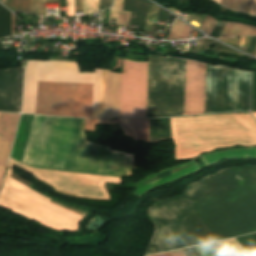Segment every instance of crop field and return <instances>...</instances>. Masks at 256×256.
I'll return each mask as SVG.
<instances>
[{
  "label": "crop field",
  "mask_w": 256,
  "mask_h": 256,
  "mask_svg": "<svg viewBox=\"0 0 256 256\" xmlns=\"http://www.w3.org/2000/svg\"><path fill=\"white\" fill-rule=\"evenodd\" d=\"M84 119L35 115L23 162L41 168L123 177L132 175L134 154L89 143Z\"/></svg>",
  "instance_id": "8a807250"
},
{
  "label": "crop field",
  "mask_w": 256,
  "mask_h": 256,
  "mask_svg": "<svg viewBox=\"0 0 256 256\" xmlns=\"http://www.w3.org/2000/svg\"><path fill=\"white\" fill-rule=\"evenodd\" d=\"M9 162V168L0 197V205L55 230L76 231L82 216L88 212L50 199V202L82 215L80 216L48 202L49 198L34 192L30 188L10 177L12 164L36 174L39 178L56 184L54 186L52 183L39 179L51 186L53 190H59L73 195L109 198L104 182L120 183V179L114 177L35 169L12 159H10ZM36 176L34 175V177ZM62 192L59 193L65 194ZM80 196L73 197L86 198Z\"/></svg>",
  "instance_id": "ac0d7876"
},
{
  "label": "crop field",
  "mask_w": 256,
  "mask_h": 256,
  "mask_svg": "<svg viewBox=\"0 0 256 256\" xmlns=\"http://www.w3.org/2000/svg\"><path fill=\"white\" fill-rule=\"evenodd\" d=\"M176 160L227 146L256 145V122L250 114L171 118Z\"/></svg>",
  "instance_id": "34b2d1b8"
},
{
  "label": "crop field",
  "mask_w": 256,
  "mask_h": 256,
  "mask_svg": "<svg viewBox=\"0 0 256 256\" xmlns=\"http://www.w3.org/2000/svg\"><path fill=\"white\" fill-rule=\"evenodd\" d=\"M37 81L94 83L93 117L119 116L121 73L102 69L79 73L76 62L36 61L31 113Z\"/></svg>",
  "instance_id": "412701ff"
},
{
  "label": "crop field",
  "mask_w": 256,
  "mask_h": 256,
  "mask_svg": "<svg viewBox=\"0 0 256 256\" xmlns=\"http://www.w3.org/2000/svg\"><path fill=\"white\" fill-rule=\"evenodd\" d=\"M186 60L148 56L146 117L183 115Z\"/></svg>",
  "instance_id": "f4fd0767"
},
{
  "label": "crop field",
  "mask_w": 256,
  "mask_h": 256,
  "mask_svg": "<svg viewBox=\"0 0 256 256\" xmlns=\"http://www.w3.org/2000/svg\"><path fill=\"white\" fill-rule=\"evenodd\" d=\"M93 84L38 82L35 113L92 117Z\"/></svg>",
  "instance_id": "dd49c442"
},
{
  "label": "crop field",
  "mask_w": 256,
  "mask_h": 256,
  "mask_svg": "<svg viewBox=\"0 0 256 256\" xmlns=\"http://www.w3.org/2000/svg\"><path fill=\"white\" fill-rule=\"evenodd\" d=\"M146 76L147 63L124 59L120 116L145 117Z\"/></svg>",
  "instance_id": "e52e79f7"
},
{
  "label": "crop field",
  "mask_w": 256,
  "mask_h": 256,
  "mask_svg": "<svg viewBox=\"0 0 256 256\" xmlns=\"http://www.w3.org/2000/svg\"><path fill=\"white\" fill-rule=\"evenodd\" d=\"M205 65L187 60L184 115L203 114Z\"/></svg>",
  "instance_id": "d8731c3e"
},
{
  "label": "crop field",
  "mask_w": 256,
  "mask_h": 256,
  "mask_svg": "<svg viewBox=\"0 0 256 256\" xmlns=\"http://www.w3.org/2000/svg\"><path fill=\"white\" fill-rule=\"evenodd\" d=\"M23 68L0 70V111L20 112Z\"/></svg>",
  "instance_id": "5a996713"
},
{
  "label": "crop field",
  "mask_w": 256,
  "mask_h": 256,
  "mask_svg": "<svg viewBox=\"0 0 256 256\" xmlns=\"http://www.w3.org/2000/svg\"><path fill=\"white\" fill-rule=\"evenodd\" d=\"M19 114L0 113V186L19 120Z\"/></svg>",
  "instance_id": "3316defc"
},
{
  "label": "crop field",
  "mask_w": 256,
  "mask_h": 256,
  "mask_svg": "<svg viewBox=\"0 0 256 256\" xmlns=\"http://www.w3.org/2000/svg\"><path fill=\"white\" fill-rule=\"evenodd\" d=\"M193 163H195V164H193ZM188 164H193V165L188 166V167H186V168H183V169H181V170H179V171H176V172H174V173H172V174H169V175H167V176H165V177H162V178H160V179H158V180H156V181H153V182H151V183H149V184H146V185L140 187L141 184H142L144 181H146L147 179H149V178H151V177H153V176H156V175L161 174V173H163V172H166V171H168V170H171V169H174V168H177V167H181V166H184V165H188ZM198 169H199V164H198L197 162H195V161H192V162H188V163H185V164L176 165V166H172V167L166 168V169H164V170H162V171H160V172H158V173H155V174H153V175H150V176L144 178L143 180H141V181L139 182V184L137 185V187H136V191H135L133 194H135V195H137V196L140 197L142 194H144L145 192H147V191H149V190H151V189H153V188H156V187H158V186H160V185H163V184H165V183H167V182H170V181H172V180H174V179H177V178H179V177H181V176H184V175H186V174H188V173L197 171Z\"/></svg>",
  "instance_id": "28ad6ade"
},
{
  "label": "crop field",
  "mask_w": 256,
  "mask_h": 256,
  "mask_svg": "<svg viewBox=\"0 0 256 256\" xmlns=\"http://www.w3.org/2000/svg\"><path fill=\"white\" fill-rule=\"evenodd\" d=\"M125 135L132 136L133 140L150 142L149 119L144 118H117Z\"/></svg>",
  "instance_id": "d1516ede"
},
{
  "label": "crop field",
  "mask_w": 256,
  "mask_h": 256,
  "mask_svg": "<svg viewBox=\"0 0 256 256\" xmlns=\"http://www.w3.org/2000/svg\"><path fill=\"white\" fill-rule=\"evenodd\" d=\"M34 115H22L11 157L22 160Z\"/></svg>",
  "instance_id": "22f410ed"
},
{
  "label": "crop field",
  "mask_w": 256,
  "mask_h": 256,
  "mask_svg": "<svg viewBox=\"0 0 256 256\" xmlns=\"http://www.w3.org/2000/svg\"><path fill=\"white\" fill-rule=\"evenodd\" d=\"M12 11L45 15V0H5Z\"/></svg>",
  "instance_id": "cbeb9de0"
},
{
  "label": "crop field",
  "mask_w": 256,
  "mask_h": 256,
  "mask_svg": "<svg viewBox=\"0 0 256 256\" xmlns=\"http://www.w3.org/2000/svg\"><path fill=\"white\" fill-rule=\"evenodd\" d=\"M204 165H211L220 162L224 158H256L255 149L229 150L220 153L200 156Z\"/></svg>",
  "instance_id": "5142ce71"
},
{
  "label": "crop field",
  "mask_w": 256,
  "mask_h": 256,
  "mask_svg": "<svg viewBox=\"0 0 256 256\" xmlns=\"http://www.w3.org/2000/svg\"><path fill=\"white\" fill-rule=\"evenodd\" d=\"M35 61H28L25 74L23 113H30Z\"/></svg>",
  "instance_id": "d9b57169"
},
{
  "label": "crop field",
  "mask_w": 256,
  "mask_h": 256,
  "mask_svg": "<svg viewBox=\"0 0 256 256\" xmlns=\"http://www.w3.org/2000/svg\"><path fill=\"white\" fill-rule=\"evenodd\" d=\"M256 35V27L226 22L221 38Z\"/></svg>",
  "instance_id": "733c2abd"
},
{
  "label": "crop field",
  "mask_w": 256,
  "mask_h": 256,
  "mask_svg": "<svg viewBox=\"0 0 256 256\" xmlns=\"http://www.w3.org/2000/svg\"><path fill=\"white\" fill-rule=\"evenodd\" d=\"M151 138L172 137L169 118L150 119Z\"/></svg>",
  "instance_id": "4a817a6b"
},
{
  "label": "crop field",
  "mask_w": 256,
  "mask_h": 256,
  "mask_svg": "<svg viewBox=\"0 0 256 256\" xmlns=\"http://www.w3.org/2000/svg\"><path fill=\"white\" fill-rule=\"evenodd\" d=\"M218 244L227 256H248L236 238L219 241Z\"/></svg>",
  "instance_id": "bc2a9ffb"
},
{
  "label": "crop field",
  "mask_w": 256,
  "mask_h": 256,
  "mask_svg": "<svg viewBox=\"0 0 256 256\" xmlns=\"http://www.w3.org/2000/svg\"><path fill=\"white\" fill-rule=\"evenodd\" d=\"M123 0H114L110 18H116V25L127 27L128 17L130 12L122 11Z\"/></svg>",
  "instance_id": "214f88e0"
},
{
  "label": "crop field",
  "mask_w": 256,
  "mask_h": 256,
  "mask_svg": "<svg viewBox=\"0 0 256 256\" xmlns=\"http://www.w3.org/2000/svg\"><path fill=\"white\" fill-rule=\"evenodd\" d=\"M11 35L10 12L0 5V38Z\"/></svg>",
  "instance_id": "92a150f3"
},
{
  "label": "crop field",
  "mask_w": 256,
  "mask_h": 256,
  "mask_svg": "<svg viewBox=\"0 0 256 256\" xmlns=\"http://www.w3.org/2000/svg\"><path fill=\"white\" fill-rule=\"evenodd\" d=\"M251 0H222L221 4L242 12L248 13Z\"/></svg>",
  "instance_id": "dafd665d"
},
{
  "label": "crop field",
  "mask_w": 256,
  "mask_h": 256,
  "mask_svg": "<svg viewBox=\"0 0 256 256\" xmlns=\"http://www.w3.org/2000/svg\"><path fill=\"white\" fill-rule=\"evenodd\" d=\"M237 240L240 242V244L243 246V248L245 249L249 256H256V250L249 242V240L246 238V236L238 237Z\"/></svg>",
  "instance_id": "00972430"
},
{
  "label": "crop field",
  "mask_w": 256,
  "mask_h": 256,
  "mask_svg": "<svg viewBox=\"0 0 256 256\" xmlns=\"http://www.w3.org/2000/svg\"><path fill=\"white\" fill-rule=\"evenodd\" d=\"M98 11V0H83V14Z\"/></svg>",
  "instance_id": "a9b5d70f"
},
{
  "label": "crop field",
  "mask_w": 256,
  "mask_h": 256,
  "mask_svg": "<svg viewBox=\"0 0 256 256\" xmlns=\"http://www.w3.org/2000/svg\"><path fill=\"white\" fill-rule=\"evenodd\" d=\"M95 124H109L107 119H86L85 131H95Z\"/></svg>",
  "instance_id": "4177f3b9"
},
{
  "label": "crop field",
  "mask_w": 256,
  "mask_h": 256,
  "mask_svg": "<svg viewBox=\"0 0 256 256\" xmlns=\"http://www.w3.org/2000/svg\"><path fill=\"white\" fill-rule=\"evenodd\" d=\"M184 23H182L181 21H179L178 19L174 22L172 30L170 32V35L168 37V39H178L179 34L182 30Z\"/></svg>",
  "instance_id": "730fd06b"
},
{
  "label": "crop field",
  "mask_w": 256,
  "mask_h": 256,
  "mask_svg": "<svg viewBox=\"0 0 256 256\" xmlns=\"http://www.w3.org/2000/svg\"><path fill=\"white\" fill-rule=\"evenodd\" d=\"M206 247L209 249L213 256H226L217 242L206 244Z\"/></svg>",
  "instance_id": "eef30255"
},
{
  "label": "crop field",
  "mask_w": 256,
  "mask_h": 256,
  "mask_svg": "<svg viewBox=\"0 0 256 256\" xmlns=\"http://www.w3.org/2000/svg\"><path fill=\"white\" fill-rule=\"evenodd\" d=\"M169 16H170V15L167 14L166 12H164V11H162V10H159L158 16H157V18H156L155 24H154V26H153L152 29H161L162 26L157 25L156 22H157V21L168 22Z\"/></svg>",
  "instance_id": "ae1a2a85"
},
{
  "label": "crop field",
  "mask_w": 256,
  "mask_h": 256,
  "mask_svg": "<svg viewBox=\"0 0 256 256\" xmlns=\"http://www.w3.org/2000/svg\"><path fill=\"white\" fill-rule=\"evenodd\" d=\"M191 27L184 25L179 39L189 38Z\"/></svg>",
  "instance_id": "d3111659"
},
{
  "label": "crop field",
  "mask_w": 256,
  "mask_h": 256,
  "mask_svg": "<svg viewBox=\"0 0 256 256\" xmlns=\"http://www.w3.org/2000/svg\"><path fill=\"white\" fill-rule=\"evenodd\" d=\"M183 252L186 254V256H201L195 247L184 249Z\"/></svg>",
  "instance_id": "750c4746"
},
{
  "label": "crop field",
  "mask_w": 256,
  "mask_h": 256,
  "mask_svg": "<svg viewBox=\"0 0 256 256\" xmlns=\"http://www.w3.org/2000/svg\"><path fill=\"white\" fill-rule=\"evenodd\" d=\"M196 249L202 256H212L208 249L205 247V245L197 246Z\"/></svg>",
  "instance_id": "bd1437ed"
},
{
  "label": "crop field",
  "mask_w": 256,
  "mask_h": 256,
  "mask_svg": "<svg viewBox=\"0 0 256 256\" xmlns=\"http://www.w3.org/2000/svg\"><path fill=\"white\" fill-rule=\"evenodd\" d=\"M213 18H211L209 15H206V18L201 26L200 29H202L203 31L206 32L208 26L210 25L211 21H212Z\"/></svg>",
  "instance_id": "1d83c4d3"
},
{
  "label": "crop field",
  "mask_w": 256,
  "mask_h": 256,
  "mask_svg": "<svg viewBox=\"0 0 256 256\" xmlns=\"http://www.w3.org/2000/svg\"><path fill=\"white\" fill-rule=\"evenodd\" d=\"M68 16L74 15V0H67Z\"/></svg>",
  "instance_id": "120bbe31"
},
{
  "label": "crop field",
  "mask_w": 256,
  "mask_h": 256,
  "mask_svg": "<svg viewBox=\"0 0 256 256\" xmlns=\"http://www.w3.org/2000/svg\"><path fill=\"white\" fill-rule=\"evenodd\" d=\"M250 14L256 15V0L251 1Z\"/></svg>",
  "instance_id": "d32e631a"
},
{
  "label": "crop field",
  "mask_w": 256,
  "mask_h": 256,
  "mask_svg": "<svg viewBox=\"0 0 256 256\" xmlns=\"http://www.w3.org/2000/svg\"><path fill=\"white\" fill-rule=\"evenodd\" d=\"M82 10V0H75V11Z\"/></svg>",
  "instance_id": "5866460e"
},
{
  "label": "crop field",
  "mask_w": 256,
  "mask_h": 256,
  "mask_svg": "<svg viewBox=\"0 0 256 256\" xmlns=\"http://www.w3.org/2000/svg\"><path fill=\"white\" fill-rule=\"evenodd\" d=\"M12 35H15V15L11 14Z\"/></svg>",
  "instance_id": "028f5c9d"
},
{
  "label": "crop field",
  "mask_w": 256,
  "mask_h": 256,
  "mask_svg": "<svg viewBox=\"0 0 256 256\" xmlns=\"http://www.w3.org/2000/svg\"><path fill=\"white\" fill-rule=\"evenodd\" d=\"M170 254L172 256H185V254L182 252V250L172 251V252H170Z\"/></svg>",
  "instance_id": "e1f06a70"
},
{
  "label": "crop field",
  "mask_w": 256,
  "mask_h": 256,
  "mask_svg": "<svg viewBox=\"0 0 256 256\" xmlns=\"http://www.w3.org/2000/svg\"><path fill=\"white\" fill-rule=\"evenodd\" d=\"M239 39L240 38H231L230 40H234V41H239ZM221 41H224V40H226V41H229V42H233V43H236L237 44V42H234V41H230V40H227V39H224V40H222V39H220ZM226 41H224V42H226ZM229 42H227V43H229ZM233 43H230V44H233ZM236 44H233V45H236ZM237 46V45H236Z\"/></svg>",
  "instance_id": "0bd39190"
},
{
  "label": "crop field",
  "mask_w": 256,
  "mask_h": 256,
  "mask_svg": "<svg viewBox=\"0 0 256 256\" xmlns=\"http://www.w3.org/2000/svg\"><path fill=\"white\" fill-rule=\"evenodd\" d=\"M215 21H216V20L213 19V21H212V23H211V25H210V27H209V29H208V31H207L208 33H211V30H212V27H213ZM208 33H207V34H208ZM209 35H210V34H209Z\"/></svg>",
  "instance_id": "b80d0937"
},
{
  "label": "crop field",
  "mask_w": 256,
  "mask_h": 256,
  "mask_svg": "<svg viewBox=\"0 0 256 256\" xmlns=\"http://www.w3.org/2000/svg\"><path fill=\"white\" fill-rule=\"evenodd\" d=\"M153 256H171L169 254V252H166V253H162V254H158V255H153Z\"/></svg>",
  "instance_id": "c035e120"
},
{
  "label": "crop field",
  "mask_w": 256,
  "mask_h": 256,
  "mask_svg": "<svg viewBox=\"0 0 256 256\" xmlns=\"http://www.w3.org/2000/svg\"><path fill=\"white\" fill-rule=\"evenodd\" d=\"M249 39H250V37H247L245 47H244L245 49H247V47H248Z\"/></svg>",
  "instance_id": "c21b1889"
},
{
  "label": "crop field",
  "mask_w": 256,
  "mask_h": 256,
  "mask_svg": "<svg viewBox=\"0 0 256 256\" xmlns=\"http://www.w3.org/2000/svg\"><path fill=\"white\" fill-rule=\"evenodd\" d=\"M254 115V117L256 118V113H252Z\"/></svg>",
  "instance_id": "03da06ac"
},
{
  "label": "crop field",
  "mask_w": 256,
  "mask_h": 256,
  "mask_svg": "<svg viewBox=\"0 0 256 256\" xmlns=\"http://www.w3.org/2000/svg\"><path fill=\"white\" fill-rule=\"evenodd\" d=\"M216 1L220 3L221 0H216Z\"/></svg>",
  "instance_id": "b54c1fbb"
},
{
  "label": "crop field",
  "mask_w": 256,
  "mask_h": 256,
  "mask_svg": "<svg viewBox=\"0 0 256 256\" xmlns=\"http://www.w3.org/2000/svg\"><path fill=\"white\" fill-rule=\"evenodd\" d=\"M255 53H256V49H255V51H254Z\"/></svg>",
  "instance_id": "5d738f31"
}]
</instances>
